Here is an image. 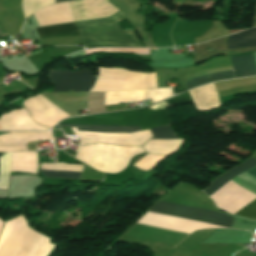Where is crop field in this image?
<instances>
[{
	"mask_svg": "<svg viewBox=\"0 0 256 256\" xmlns=\"http://www.w3.org/2000/svg\"><path fill=\"white\" fill-rule=\"evenodd\" d=\"M190 102V94L186 92L146 108L70 118L59 124L140 125L141 130H145L171 125L166 107Z\"/></svg>",
	"mask_w": 256,
	"mask_h": 256,
	"instance_id": "obj_1",
	"label": "crop field"
},
{
	"mask_svg": "<svg viewBox=\"0 0 256 256\" xmlns=\"http://www.w3.org/2000/svg\"><path fill=\"white\" fill-rule=\"evenodd\" d=\"M122 12L109 18L77 22L76 27L82 45L141 47L133 30L123 31L115 22L124 19ZM143 47V46H142Z\"/></svg>",
	"mask_w": 256,
	"mask_h": 256,
	"instance_id": "obj_2",
	"label": "crop field"
},
{
	"mask_svg": "<svg viewBox=\"0 0 256 256\" xmlns=\"http://www.w3.org/2000/svg\"><path fill=\"white\" fill-rule=\"evenodd\" d=\"M149 211L228 227L231 226L234 220L233 218L222 213L161 201H158Z\"/></svg>",
	"mask_w": 256,
	"mask_h": 256,
	"instance_id": "obj_3",
	"label": "crop field"
},
{
	"mask_svg": "<svg viewBox=\"0 0 256 256\" xmlns=\"http://www.w3.org/2000/svg\"><path fill=\"white\" fill-rule=\"evenodd\" d=\"M48 76L52 83L53 92L89 91L95 81L92 70H51Z\"/></svg>",
	"mask_w": 256,
	"mask_h": 256,
	"instance_id": "obj_4",
	"label": "crop field"
},
{
	"mask_svg": "<svg viewBox=\"0 0 256 256\" xmlns=\"http://www.w3.org/2000/svg\"><path fill=\"white\" fill-rule=\"evenodd\" d=\"M22 104L30 111L34 120L50 127L59 120L69 117L40 94L24 100Z\"/></svg>",
	"mask_w": 256,
	"mask_h": 256,
	"instance_id": "obj_5",
	"label": "crop field"
},
{
	"mask_svg": "<svg viewBox=\"0 0 256 256\" xmlns=\"http://www.w3.org/2000/svg\"><path fill=\"white\" fill-rule=\"evenodd\" d=\"M256 165V161L254 159H249L246 162L242 163L241 165L237 166L233 170L229 171L228 173L224 174L223 176L216 179L211 185L203 190L208 196L214 193L216 190L221 188L223 185L231 181L234 177L241 174L243 171L253 167ZM236 215L244 216L251 219H256V199L253 200L251 203L240 209L238 212L235 213Z\"/></svg>",
	"mask_w": 256,
	"mask_h": 256,
	"instance_id": "obj_6",
	"label": "crop field"
},
{
	"mask_svg": "<svg viewBox=\"0 0 256 256\" xmlns=\"http://www.w3.org/2000/svg\"><path fill=\"white\" fill-rule=\"evenodd\" d=\"M52 140L50 132L46 133H19L7 132L0 134V151L18 152L27 151L26 142Z\"/></svg>",
	"mask_w": 256,
	"mask_h": 256,
	"instance_id": "obj_7",
	"label": "crop field"
},
{
	"mask_svg": "<svg viewBox=\"0 0 256 256\" xmlns=\"http://www.w3.org/2000/svg\"><path fill=\"white\" fill-rule=\"evenodd\" d=\"M35 30L40 39L78 36L74 23L38 28Z\"/></svg>",
	"mask_w": 256,
	"mask_h": 256,
	"instance_id": "obj_8",
	"label": "crop field"
},
{
	"mask_svg": "<svg viewBox=\"0 0 256 256\" xmlns=\"http://www.w3.org/2000/svg\"><path fill=\"white\" fill-rule=\"evenodd\" d=\"M230 59L235 78L256 75L252 54L246 56L231 57Z\"/></svg>",
	"mask_w": 256,
	"mask_h": 256,
	"instance_id": "obj_9",
	"label": "crop field"
},
{
	"mask_svg": "<svg viewBox=\"0 0 256 256\" xmlns=\"http://www.w3.org/2000/svg\"><path fill=\"white\" fill-rule=\"evenodd\" d=\"M76 127L77 131L126 133L140 130L139 126H102V125H58Z\"/></svg>",
	"mask_w": 256,
	"mask_h": 256,
	"instance_id": "obj_10",
	"label": "crop field"
},
{
	"mask_svg": "<svg viewBox=\"0 0 256 256\" xmlns=\"http://www.w3.org/2000/svg\"><path fill=\"white\" fill-rule=\"evenodd\" d=\"M249 45H256V28L230 35L227 49Z\"/></svg>",
	"mask_w": 256,
	"mask_h": 256,
	"instance_id": "obj_11",
	"label": "crop field"
},
{
	"mask_svg": "<svg viewBox=\"0 0 256 256\" xmlns=\"http://www.w3.org/2000/svg\"><path fill=\"white\" fill-rule=\"evenodd\" d=\"M233 72H225V73H220V74H215V75H206V76H202L196 79H192L189 81H186L187 83V90L201 85V84H205V83H209V82H213V81H218V80H226V79H233Z\"/></svg>",
	"mask_w": 256,
	"mask_h": 256,
	"instance_id": "obj_12",
	"label": "crop field"
},
{
	"mask_svg": "<svg viewBox=\"0 0 256 256\" xmlns=\"http://www.w3.org/2000/svg\"><path fill=\"white\" fill-rule=\"evenodd\" d=\"M150 132L154 136L151 139H180L179 136L174 132L172 126H161L150 129Z\"/></svg>",
	"mask_w": 256,
	"mask_h": 256,
	"instance_id": "obj_13",
	"label": "crop field"
},
{
	"mask_svg": "<svg viewBox=\"0 0 256 256\" xmlns=\"http://www.w3.org/2000/svg\"><path fill=\"white\" fill-rule=\"evenodd\" d=\"M44 177L80 179L81 172L40 170Z\"/></svg>",
	"mask_w": 256,
	"mask_h": 256,
	"instance_id": "obj_14",
	"label": "crop field"
},
{
	"mask_svg": "<svg viewBox=\"0 0 256 256\" xmlns=\"http://www.w3.org/2000/svg\"><path fill=\"white\" fill-rule=\"evenodd\" d=\"M246 175L250 176L254 180H256V167L244 172Z\"/></svg>",
	"mask_w": 256,
	"mask_h": 256,
	"instance_id": "obj_15",
	"label": "crop field"
},
{
	"mask_svg": "<svg viewBox=\"0 0 256 256\" xmlns=\"http://www.w3.org/2000/svg\"><path fill=\"white\" fill-rule=\"evenodd\" d=\"M252 53H253V58H254L255 65H256V51H255V52H252Z\"/></svg>",
	"mask_w": 256,
	"mask_h": 256,
	"instance_id": "obj_16",
	"label": "crop field"
},
{
	"mask_svg": "<svg viewBox=\"0 0 256 256\" xmlns=\"http://www.w3.org/2000/svg\"><path fill=\"white\" fill-rule=\"evenodd\" d=\"M64 1H74V0H56V3L57 2H64Z\"/></svg>",
	"mask_w": 256,
	"mask_h": 256,
	"instance_id": "obj_17",
	"label": "crop field"
},
{
	"mask_svg": "<svg viewBox=\"0 0 256 256\" xmlns=\"http://www.w3.org/2000/svg\"><path fill=\"white\" fill-rule=\"evenodd\" d=\"M2 34V32L0 31V35Z\"/></svg>",
	"mask_w": 256,
	"mask_h": 256,
	"instance_id": "obj_18",
	"label": "crop field"
},
{
	"mask_svg": "<svg viewBox=\"0 0 256 256\" xmlns=\"http://www.w3.org/2000/svg\"><path fill=\"white\" fill-rule=\"evenodd\" d=\"M3 153H0V156L2 155Z\"/></svg>",
	"mask_w": 256,
	"mask_h": 256,
	"instance_id": "obj_19",
	"label": "crop field"
}]
</instances>
